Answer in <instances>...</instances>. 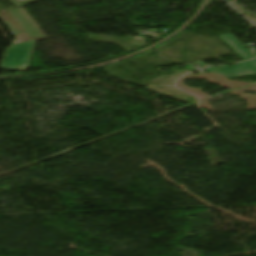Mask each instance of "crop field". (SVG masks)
Here are the masks:
<instances>
[{
	"instance_id": "obj_4",
	"label": "crop field",
	"mask_w": 256,
	"mask_h": 256,
	"mask_svg": "<svg viewBox=\"0 0 256 256\" xmlns=\"http://www.w3.org/2000/svg\"><path fill=\"white\" fill-rule=\"evenodd\" d=\"M9 1L18 7V6H22V5L32 3V2H35L38 0H9Z\"/></svg>"
},
{
	"instance_id": "obj_5",
	"label": "crop field",
	"mask_w": 256,
	"mask_h": 256,
	"mask_svg": "<svg viewBox=\"0 0 256 256\" xmlns=\"http://www.w3.org/2000/svg\"><path fill=\"white\" fill-rule=\"evenodd\" d=\"M248 64L256 70V59L249 61Z\"/></svg>"
},
{
	"instance_id": "obj_1",
	"label": "crop field",
	"mask_w": 256,
	"mask_h": 256,
	"mask_svg": "<svg viewBox=\"0 0 256 256\" xmlns=\"http://www.w3.org/2000/svg\"><path fill=\"white\" fill-rule=\"evenodd\" d=\"M0 18L22 43L11 46L6 51L0 67L4 69H27L35 40L8 11L1 13Z\"/></svg>"
},
{
	"instance_id": "obj_2",
	"label": "crop field",
	"mask_w": 256,
	"mask_h": 256,
	"mask_svg": "<svg viewBox=\"0 0 256 256\" xmlns=\"http://www.w3.org/2000/svg\"><path fill=\"white\" fill-rule=\"evenodd\" d=\"M228 46H230L244 60L253 58L254 56L231 34L219 36Z\"/></svg>"
},
{
	"instance_id": "obj_3",
	"label": "crop field",
	"mask_w": 256,
	"mask_h": 256,
	"mask_svg": "<svg viewBox=\"0 0 256 256\" xmlns=\"http://www.w3.org/2000/svg\"><path fill=\"white\" fill-rule=\"evenodd\" d=\"M226 69L227 70L212 72V73L222 74V75H225L227 78L238 77V76L255 73V71L251 69L245 62L235 64L234 66H231V67H226Z\"/></svg>"
}]
</instances>
